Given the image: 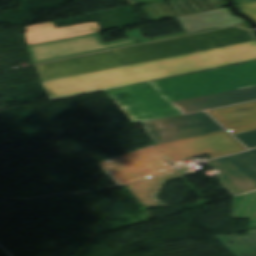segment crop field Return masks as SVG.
Here are the masks:
<instances>
[{
    "label": "crop field",
    "mask_w": 256,
    "mask_h": 256,
    "mask_svg": "<svg viewBox=\"0 0 256 256\" xmlns=\"http://www.w3.org/2000/svg\"><path fill=\"white\" fill-rule=\"evenodd\" d=\"M255 85L256 61H253L105 92L135 123L183 115L173 103L177 100Z\"/></svg>",
    "instance_id": "crop-field-1"
},
{
    "label": "crop field",
    "mask_w": 256,
    "mask_h": 256,
    "mask_svg": "<svg viewBox=\"0 0 256 256\" xmlns=\"http://www.w3.org/2000/svg\"><path fill=\"white\" fill-rule=\"evenodd\" d=\"M256 59V41L42 83L51 101Z\"/></svg>",
    "instance_id": "crop-field-2"
},
{
    "label": "crop field",
    "mask_w": 256,
    "mask_h": 256,
    "mask_svg": "<svg viewBox=\"0 0 256 256\" xmlns=\"http://www.w3.org/2000/svg\"><path fill=\"white\" fill-rule=\"evenodd\" d=\"M252 40H256V38L251 31L233 27L101 52L35 67L42 81L45 82Z\"/></svg>",
    "instance_id": "crop-field-3"
},
{
    "label": "crop field",
    "mask_w": 256,
    "mask_h": 256,
    "mask_svg": "<svg viewBox=\"0 0 256 256\" xmlns=\"http://www.w3.org/2000/svg\"><path fill=\"white\" fill-rule=\"evenodd\" d=\"M101 165L119 186L126 185L146 208L161 205L156 199L161 186L181 177L153 145Z\"/></svg>",
    "instance_id": "crop-field-4"
},
{
    "label": "crop field",
    "mask_w": 256,
    "mask_h": 256,
    "mask_svg": "<svg viewBox=\"0 0 256 256\" xmlns=\"http://www.w3.org/2000/svg\"><path fill=\"white\" fill-rule=\"evenodd\" d=\"M125 33L128 39L119 40L107 44H104L99 33H96L30 45L27 46V48L31 55L30 58L33 64H36L137 44L138 42L134 39L135 37L139 40L140 43H143L163 38L184 35V33H181L147 39L141 35L139 29L127 31Z\"/></svg>",
    "instance_id": "crop-field-5"
},
{
    "label": "crop field",
    "mask_w": 256,
    "mask_h": 256,
    "mask_svg": "<svg viewBox=\"0 0 256 256\" xmlns=\"http://www.w3.org/2000/svg\"><path fill=\"white\" fill-rule=\"evenodd\" d=\"M154 146L169 162L206 154L214 158L246 150L226 130Z\"/></svg>",
    "instance_id": "crop-field-6"
},
{
    "label": "crop field",
    "mask_w": 256,
    "mask_h": 256,
    "mask_svg": "<svg viewBox=\"0 0 256 256\" xmlns=\"http://www.w3.org/2000/svg\"><path fill=\"white\" fill-rule=\"evenodd\" d=\"M207 163L220 173V185L233 195L256 190V149Z\"/></svg>",
    "instance_id": "crop-field-7"
},
{
    "label": "crop field",
    "mask_w": 256,
    "mask_h": 256,
    "mask_svg": "<svg viewBox=\"0 0 256 256\" xmlns=\"http://www.w3.org/2000/svg\"><path fill=\"white\" fill-rule=\"evenodd\" d=\"M157 143L223 130L205 112L145 123Z\"/></svg>",
    "instance_id": "crop-field-8"
},
{
    "label": "crop field",
    "mask_w": 256,
    "mask_h": 256,
    "mask_svg": "<svg viewBox=\"0 0 256 256\" xmlns=\"http://www.w3.org/2000/svg\"><path fill=\"white\" fill-rule=\"evenodd\" d=\"M148 4L141 7L152 21L172 18L224 7L225 0H172ZM173 7L175 10H171Z\"/></svg>",
    "instance_id": "crop-field-9"
},
{
    "label": "crop field",
    "mask_w": 256,
    "mask_h": 256,
    "mask_svg": "<svg viewBox=\"0 0 256 256\" xmlns=\"http://www.w3.org/2000/svg\"><path fill=\"white\" fill-rule=\"evenodd\" d=\"M256 100V86L174 102L184 113Z\"/></svg>",
    "instance_id": "crop-field-10"
},
{
    "label": "crop field",
    "mask_w": 256,
    "mask_h": 256,
    "mask_svg": "<svg viewBox=\"0 0 256 256\" xmlns=\"http://www.w3.org/2000/svg\"><path fill=\"white\" fill-rule=\"evenodd\" d=\"M208 112L233 134L256 129V101Z\"/></svg>",
    "instance_id": "crop-field-11"
},
{
    "label": "crop field",
    "mask_w": 256,
    "mask_h": 256,
    "mask_svg": "<svg viewBox=\"0 0 256 256\" xmlns=\"http://www.w3.org/2000/svg\"><path fill=\"white\" fill-rule=\"evenodd\" d=\"M28 45L99 32L96 22L55 29L52 22L25 27Z\"/></svg>",
    "instance_id": "crop-field-12"
},
{
    "label": "crop field",
    "mask_w": 256,
    "mask_h": 256,
    "mask_svg": "<svg viewBox=\"0 0 256 256\" xmlns=\"http://www.w3.org/2000/svg\"><path fill=\"white\" fill-rule=\"evenodd\" d=\"M176 19L188 34L243 23L242 20L233 17L226 8L177 17Z\"/></svg>",
    "instance_id": "crop-field-13"
},
{
    "label": "crop field",
    "mask_w": 256,
    "mask_h": 256,
    "mask_svg": "<svg viewBox=\"0 0 256 256\" xmlns=\"http://www.w3.org/2000/svg\"><path fill=\"white\" fill-rule=\"evenodd\" d=\"M233 256H256V230L245 237L233 234L214 236Z\"/></svg>",
    "instance_id": "crop-field-14"
},
{
    "label": "crop field",
    "mask_w": 256,
    "mask_h": 256,
    "mask_svg": "<svg viewBox=\"0 0 256 256\" xmlns=\"http://www.w3.org/2000/svg\"><path fill=\"white\" fill-rule=\"evenodd\" d=\"M248 148L256 147V131L236 135Z\"/></svg>",
    "instance_id": "crop-field-15"
},
{
    "label": "crop field",
    "mask_w": 256,
    "mask_h": 256,
    "mask_svg": "<svg viewBox=\"0 0 256 256\" xmlns=\"http://www.w3.org/2000/svg\"><path fill=\"white\" fill-rule=\"evenodd\" d=\"M237 7L256 20V2L238 5Z\"/></svg>",
    "instance_id": "crop-field-16"
},
{
    "label": "crop field",
    "mask_w": 256,
    "mask_h": 256,
    "mask_svg": "<svg viewBox=\"0 0 256 256\" xmlns=\"http://www.w3.org/2000/svg\"><path fill=\"white\" fill-rule=\"evenodd\" d=\"M131 6L159 1V0H126Z\"/></svg>",
    "instance_id": "crop-field-17"
},
{
    "label": "crop field",
    "mask_w": 256,
    "mask_h": 256,
    "mask_svg": "<svg viewBox=\"0 0 256 256\" xmlns=\"http://www.w3.org/2000/svg\"><path fill=\"white\" fill-rule=\"evenodd\" d=\"M256 0H236V5L238 4H243V3H249V2H254Z\"/></svg>",
    "instance_id": "crop-field-18"
},
{
    "label": "crop field",
    "mask_w": 256,
    "mask_h": 256,
    "mask_svg": "<svg viewBox=\"0 0 256 256\" xmlns=\"http://www.w3.org/2000/svg\"><path fill=\"white\" fill-rule=\"evenodd\" d=\"M238 26L243 27V28H245V29H250V27H249L247 24H244V25H238Z\"/></svg>",
    "instance_id": "crop-field-19"
}]
</instances>
